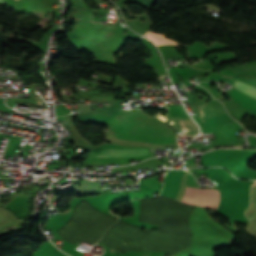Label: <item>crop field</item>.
Returning <instances> with one entry per match:
<instances>
[{
    "instance_id": "5",
    "label": "crop field",
    "mask_w": 256,
    "mask_h": 256,
    "mask_svg": "<svg viewBox=\"0 0 256 256\" xmlns=\"http://www.w3.org/2000/svg\"><path fill=\"white\" fill-rule=\"evenodd\" d=\"M146 37L151 39L157 46L161 45V44H175V45H177L173 40H167L161 34H153V33L147 32Z\"/></svg>"
},
{
    "instance_id": "6",
    "label": "crop field",
    "mask_w": 256,
    "mask_h": 256,
    "mask_svg": "<svg viewBox=\"0 0 256 256\" xmlns=\"http://www.w3.org/2000/svg\"><path fill=\"white\" fill-rule=\"evenodd\" d=\"M2 1H4V2H9V1H7V0H2ZM2 1H0V3H2Z\"/></svg>"
},
{
    "instance_id": "4",
    "label": "crop field",
    "mask_w": 256,
    "mask_h": 256,
    "mask_svg": "<svg viewBox=\"0 0 256 256\" xmlns=\"http://www.w3.org/2000/svg\"><path fill=\"white\" fill-rule=\"evenodd\" d=\"M234 89L256 99V89L248 86V85H245L239 81L236 82L235 86H234Z\"/></svg>"
},
{
    "instance_id": "2",
    "label": "crop field",
    "mask_w": 256,
    "mask_h": 256,
    "mask_svg": "<svg viewBox=\"0 0 256 256\" xmlns=\"http://www.w3.org/2000/svg\"><path fill=\"white\" fill-rule=\"evenodd\" d=\"M145 154H148L147 149H105L99 152L96 157L140 156Z\"/></svg>"
},
{
    "instance_id": "3",
    "label": "crop field",
    "mask_w": 256,
    "mask_h": 256,
    "mask_svg": "<svg viewBox=\"0 0 256 256\" xmlns=\"http://www.w3.org/2000/svg\"><path fill=\"white\" fill-rule=\"evenodd\" d=\"M202 116L226 112L222 104L213 99L198 106Z\"/></svg>"
},
{
    "instance_id": "1",
    "label": "crop field",
    "mask_w": 256,
    "mask_h": 256,
    "mask_svg": "<svg viewBox=\"0 0 256 256\" xmlns=\"http://www.w3.org/2000/svg\"><path fill=\"white\" fill-rule=\"evenodd\" d=\"M219 198L220 193L216 189L187 187L181 201L216 209L219 204Z\"/></svg>"
}]
</instances>
